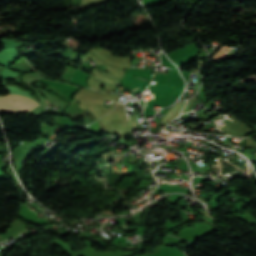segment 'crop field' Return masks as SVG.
<instances>
[{"label":"crop field","mask_w":256,"mask_h":256,"mask_svg":"<svg viewBox=\"0 0 256 256\" xmlns=\"http://www.w3.org/2000/svg\"><path fill=\"white\" fill-rule=\"evenodd\" d=\"M121 226L124 227L125 229L129 228V227H127L125 224H123V225H121Z\"/></svg>","instance_id":"obj_3"},{"label":"crop field","mask_w":256,"mask_h":256,"mask_svg":"<svg viewBox=\"0 0 256 256\" xmlns=\"http://www.w3.org/2000/svg\"><path fill=\"white\" fill-rule=\"evenodd\" d=\"M138 89V88H137ZM134 90H136V89H134ZM134 90H132V91H134Z\"/></svg>","instance_id":"obj_5"},{"label":"crop field","mask_w":256,"mask_h":256,"mask_svg":"<svg viewBox=\"0 0 256 256\" xmlns=\"http://www.w3.org/2000/svg\"><path fill=\"white\" fill-rule=\"evenodd\" d=\"M204 220H207V218L203 217ZM215 226V225H214ZM216 228V227H215Z\"/></svg>","instance_id":"obj_4"},{"label":"crop field","mask_w":256,"mask_h":256,"mask_svg":"<svg viewBox=\"0 0 256 256\" xmlns=\"http://www.w3.org/2000/svg\"><path fill=\"white\" fill-rule=\"evenodd\" d=\"M38 105L40 104L22 95L0 96V112H27Z\"/></svg>","instance_id":"obj_1"},{"label":"crop field","mask_w":256,"mask_h":256,"mask_svg":"<svg viewBox=\"0 0 256 256\" xmlns=\"http://www.w3.org/2000/svg\"><path fill=\"white\" fill-rule=\"evenodd\" d=\"M5 174L1 171V168H0V177H4Z\"/></svg>","instance_id":"obj_2"}]
</instances>
